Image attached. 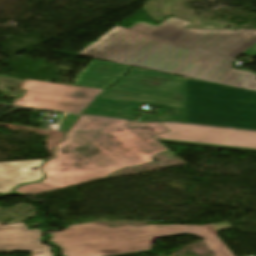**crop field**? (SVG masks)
Here are the masks:
<instances>
[{
  "label": "crop field",
  "mask_w": 256,
  "mask_h": 256,
  "mask_svg": "<svg viewBox=\"0 0 256 256\" xmlns=\"http://www.w3.org/2000/svg\"><path fill=\"white\" fill-rule=\"evenodd\" d=\"M167 131L160 123L81 117L66 132V140L56 145V157L41 167L46 179L15 192L31 195L51 191L152 162L154 155L169 151L152 136Z\"/></svg>",
  "instance_id": "8a807250"
},
{
  "label": "crop field",
  "mask_w": 256,
  "mask_h": 256,
  "mask_svg": "<svg viewBox=\"0 0 256 256\" xmlns=\"http://www.w3.org/2000/svg\"><path fill=\"white\" fill-rule=\"evenodd\" d=\"M229 222L206 226H161L108 228L92 223L70 226L53 234L52 241L65 256H118L149 251L153 238L183 233L201 237L215 256H234L216 236Z\"/></svg>",
  "instance_id": "ac0d7876"
},
{
  "label": "crop field",
  "mask_w": 256,
  "mask_h": 256,
  "mask_svg": "<svg viewBox=\"0 0 256 256\" xmlns=\"http://www.w3.org/2000/svg\"><path fill=\"white\" fill-rule=\"evenodd\" d=\"M141 104L164 106L160 115L144 114L140 121L186 123L184 78L132 68L127 76L103 93L84 114L138 120Z\"/></svg>",
  "instance_id": "34b2d1b8"
},
{
  "label": "crop field",
  "mask_w": 256,
  "mask_h": 256,
  "mask_svg": "<svg viewBox=\"0 0 256 256\" xmlns=\"http://www.w3.org/2000/svg\"><path fill=\"white\" fill-rule=\"evenodd\" d=\"M80 55L197 79H201L212 57V54L157 41L119 26Z\"/></svg>",
  "instance_id": "412701ff"
},
{
  "label": "crop field",
  "mask_w": 256,
  "mask_h": 256,
  "mask_svg": "<svg viewBox=\"0 0 256 256\" xmlns=\"http://www.w3.org/2000/svg\"><path fill=\"white\" fill-rule=\"evenodd\" d=\"M187 123L256 130V92L185 78Z\"/></svg>",
  "instance_id": "f4fd0767"
},
{
  "label": "crop field",
  "mask_w": 256,
  "mask_h": 256,
  "mask_svg": "<svg viewBox=\"0 0 256 256\" xmlns=\"http://www.w3.org/2000/svg\"><path fill=\"white\" fill-rule=\"evenodd\" d=\"M190 23L170 17L157 27L141 22L131 29L173 43L233 58L256 43L255 31L184 29Z\"/></svg>",
  "instance_id": "dd49c442"
},
{
  "label": "crop field",
  "mask_w": 256,
  "mask_h": 256,
  "mask_svg": "<svg viewBox=\"0 0 256 256\" xmlns=\"http://www.w3.org/2000/svg\"><path fill=\"white\" fill-rule=\"evenodd\" d=\"M170 131L154 136L158 141L256 152V132L161 123Z\"/></svg>",
  "instance_id": "e52e79f7"
},
{
  "label": "crop field",
  "mask_w": 256,
  "mask_h": 256,
  "mask_svg": "<svg viewBox=\"0 0 256 256\" xmlns=\"http://www.w3.org/2000/svg\"><path fill=\"white\" fill-rule=\"evenodd\" d=\"M27 90L13 105L80 113L102 91L56 83L25 80Z\"/></svg>",
  "instance_id": "d8731c3e"
},
{
  "label": "crop field",
  "mask_w": 256,
  "mask_h": 256,
  "mask_svg": "<svg viewBox=\"0 0 256 256\" xmlns=\"http://www.w3.org/2000/svg\"><path fill=\"white\" fill-rule=\"evenodd\" d=\"M40 231H28L23 223L2 226L0 224V250L32 251L31 256H53L49 247L41 245Z\"/></svg>",
  "instance_id": "5a996713"
},
{
  "label": "crop field",
  "mask_w": 256,
  "mask_h": 256,
  "mask_svg": "<svg viewBox=\"0 0 256 256\" xmlns=\"http://www.w3.org/2000/svg\"><path fill=\"white\" fill-rule=\"evenodd\" d=\"M233 60L213 55L202 79L256 91V74L231 68Z\"/></svg>",
  "instance_id": "3316defc"
},
{
  "label": "crop field",
  "mask_w": 256,
  "mask_h": 256,
  "mask_svg": "<svg viewBox=\"0 0 256 256\" xmlns=\"http://www.w3.org/2000/svg\"><path fill=\"white\" fill-rule=\"evenodd\" d=\"M43 161L0 162V194H11L20 184L42 180L44 175L38 167ZM33 167L37 170L31 171Z\"/></svg>",
  "instance_id": "28ad6ade"
},
{
  "label": "crop field",
  "mask_w": 256,
  "mask_h": 256,
  "mask_svg": "<svg viewBox=\"0 0 256 256\" xmlns=\"http://www.w3.org/2000/svg\"><path fill=\"white\" fill-rule=\"evenodd\" d=\"M128 69L129 66L93 59L77 76L75 85L106 89Z\"/></svg>",
  "instance_id": "d1516ede"
},
{
  "label": "crop field",
  "mask_w": 256,
  "mask_h": 256,
  "mask_svg": "<svg viewBox=\"0 0 256 256\" xmlns=\"http://www.w3.org/2000/svg\"><path fill=\"white\" fill-rule=\"evenodd\" d=\"M77 115H67L65 116L62 121L58 124L60 126L59 130L64 131L68 129L72 123L77 119Z\"/></svg>",
  "instance_id": "22f410ed"
},
{
  "label": "crop field",
  "mask_w": 256,
  "mask_h": 256,
  "mask_svg": "<svg viewBox=\"0 0 256 256\" xmlns=\"http://www.w3.org/2000/svg\"><path fill=\"white\" fill-rule=\"evenodd\" d=\"M241 55H246V56H251L254 57L256 56V44L247 49L245 52H243Z\"/></svg>",
  "instance_id": "cbeb9de0"
}]
</instances>
